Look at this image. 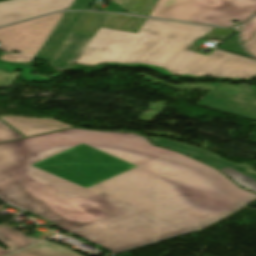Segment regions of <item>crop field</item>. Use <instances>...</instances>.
<instances>
[{
	"label": "crop field",
	"mask_w": 256,
	"mask_h": 256,
	"mask_svg": "<svg viewBox=\"0 0 256 256\" xmlns=\"http://www.w3.org/2000/svg\"><path fill=\"white\" fill-rule=\"evenodd\" d=\"M256 88V87H255Z\"/></svg>",
	"instance_id": "crop-field-26"
},
{
	"label": "crop field",
	"mask_w": 256,
	"mask_h": 256,
	"mask_svg": "<svg viewBox=\"0 0 256 256\" xmlns=\"http://www.w3.org/2000/svg\"><path fill=\"white\" fill-rule=\"evenodd\" d=\"M198 105L256 120L253 89L218 84Z\"/></svg>",
	"instance_id": "crop-field-5"
},
{
	"label": "crop field",
	"mask_w": 256,
	"mask_h": 256,
	"mask_svg": "<svg viewBox=\"0 0 256 256\" xmlns=\"http://www.w3.org/2000/svg\"><path fill=\"white\" fill-rule=\"evenodd\" d=\"M0 68L4 69V70H9V71H13V70H20V69H16V68H12V67H2L0 66ZM23 73L20 74L22 76L23 79H25L26 81H48L49 79H36V78H31V77H25L26 76V72L24 70H22Z\"/></svg>",
	"instance_id": "crop-field-22"
},
{
	"label": "crop field",
	"mask_w": 256,
	"mask_h": 256,
	"mask_svg": "<svg viewBox=\"0 0 256 256\" xmlns=\"http://www.w3.org/2000/svg\"><path fill=\"white\" fill-rule=\"evenodd\" d=\"M19 74L18 72L8 73L0 69V88L11 87Z\"/></svg>",
	"instance_id": "crop-field-18"
},
{
	"label": "crop field",
	"mask_w": 256,
	"mask_h": 256,
	"mask_svg": "<svg viewBox=\"0 0 256 256\" xmlns=\"http://www.w3.org/2000/svg\"><path fill=\"white\" fill-rule=\"evenodd\" d=\"M212 27L147 19L138 34L100 27L76 63H141L174 75L233 79L256 75V61L215 50L208 56L187 50Z\"/></svg>",
	"instance_id": "crop-field-2"
},
{
	"label": "crop field",
	"mask_w": 256,
	"mask_h": 256,
	"mask_svg": "<svg viewBox=\"0 0 256 256\" xmlns=\"http://www.w3.org/2000/svg\"><path fill=\"white\" fill-rule=\"evenodd\" d=\"M41 240L42 239L30 237L19 230L0 224V242L10 248L9 250H4L0 247V256H4Z\"/></svg>",
	"instance_id": "crop-field-12"
},
{
	"label": "crop field",
	"mask_w": 256,
	"mask_h": 256,
	"mask_svg": "<svg viewBox=\"0 0 256 256\" xmlns=\"http://www.w3.org/2000/svg\"><path fill=\"white\" fill-rule=\"evenodd\" d=\"M145 18L86 12L75 33L94 36L100 26L138 33Z\"/></svg>",
	"instance_id": "crop-field-7"
},
{
	"label": "crop field",
	"mask_w": 256,
	"mask_h": 256,
	"mask_svg": "<svg viewBox=\"0 0 256 256\" xmlns=\"http://www.w3.org/2000/svg\"><path fill=\"white\" fill-rule=\"evenodd\" d=\"M248 51L256 56V35L244 44Z\"/></svg>",
	"instance_id": "crop-field-21"
},
{
	"label": "crop field",
	"mask_w": 256,
	"mask_h": 256,
	"mask_svg": "<svg viewBox=\"0 0 256 256\" xmlns=\"http://www.w3.org/2000/svg\"><path fill=\"white\" fill-rule=\"evenodd\" d=\"M93 0H74L68 10H88Z\"/></svg>",
	"instance_id": "crop-field-20"
},
{
	"label": "crop field",
	"mask_w": 256,
	"mask_h": 256,
	"mask_svg": "<svg viewBox=\"0 0 256 256\" xmlns=\"http://www.w3.org/2000/svg\"><path fill=\"white\" fill-rule=\"evenodd\" d=\"M224 173H226L229 177H231L234 181H236L241 186L256 192V179L245 175L229 166L220 168Z\"/></svg>",
	"instance_id": "crop-field-15"
},
{
	"label": "crop field",
	"mask_w": 256,
	"mask_h": 256,
	"mask_svg": "<svg viewBox=\"0 0 256 256\" xmlns=\"http://www.w3.org/2000/svg\"><path fill=\"white\" fill-rule=\"evenodd\" d=\"M64 13H59L0 30V50L12 52L0 55V60L29 62L33 60Z\"/></svg>",
	"instance_id": "crop-field-4"
},
{
	"label": "crop field",
	"mask_w": 256,
	"mask_h": 256,
	"mask_svg": "<svg viewBox=\"0 0 256 256\" xmlns=\"http://www.w3.org/2000/svg\"><path fill=\"white\" fill-rule=\"evenodd\" d=\"M0 197L113 253L205 227L256 200L144 136L78 129L0 143Z\"/></svg>",
	"instance_id": "crop-field-1"
},
{
	"label": "crop field",
	"mask_w": 256,
	"mask_h": 256,
	"mask_svg": "<svg viewBox=\"0 0 256 256\" xmlns=\"http://www.w3.org/2000/svg\"><path fill=\"white\" fill-rule=\"evenodd\" d=\"M119 4L129 13L149 16L158 0H109Z\"/></svg>",
	"instance_id": "crop-field-14"
},
{
	"label": "crop field",
	"mask_w": 256,
	"mask_h": 256,
	"mask_svg": "<svg viewBox=\"0 0 256 256\" xmlns=\"http://www.w3.org/2000/svg\"><path fill=\"white\" fill-rule=\"evenodd\" d=\"M11 256H82L81 254L54 243L45 241Z\"/></svg>",
	"instance_id": "crop-field-13"
},
{
	"label": "crop field",
	"mask_w": 256,
	"mask_h": 256,
	"mask_svg": "<svg viewBox=\"0 0 256 256\" xmlns=\"http://www.w3.org/2000/svg\"><path fill=\"white\" fill-rule=\"evenodd\" d=\"M239 86L252 88V87H250L248 85H245V84H242V85H239Z\"/></svg>",
	"instance_id": "crop-field-24"
},
{
	"label": "crop field",
	"mask_w": 256,
	"mask_h": 256,
	"mask_svg": "<svg viewBox=\"0 0 256 256\" xmlns=\"http://www.w3.org/2000/svg\"><path fill=\"white\" fill-rule=\"evenodd\" d=\"M85 12H66L53 33L43 45L36 58L53 62L71 33L81 22Z\"/></svg>",
	"instance_id": "crop-field-8"
},
{
	"label": "crop field",
	"mask_w": 256,
	"mask_h": 256,
	"mask_svg": "<svg viewBox=\"0 0 256 256\" xmlns=\"http://www.w3.org/2000/svg\"><path fill=\"white\" fill-rule=\"evenodd\" d=\"M0 118L25 136L69 128L68 125L58 121H54V120L16 117V116H8V117H0Z\"/></svg>",
	"instance_id": "crop-field-10"
},
{
	"label": "crop field",
	"mask_w": 256,
	"mask_h": 256,
	"mask_svg": "<svg viewBox=\"0 0 256 256\" xmlns=\"http://www.w3.org/2000/svg\"><path fill=\"white\" fill-rule=\"evenodd\" d=\"M91 39V36L72 33L68 42L61 50L57 58L54 60L52 65L56 68L66 64L74 65V63L84 51Z\"/></svg>",
	"instance_id": "crop-field-11"
},
{
	"label": "crop field",
	"mask_w": 256,
	"mask_h": 256,
	"mask_svg": "<svg viewBox=\"0 0 256 256\" xmlns=\"http://www.w3.org/2000/svg\"><path fill=\"white\" fill-rule=\"evenodd\" d=\"M256 13V0H159L150 16L190 22L234 26Z\"/></svg>",
	"instance_id": "crop-field-3"
},
{
	"label": "crop field",
	"mask_w": 256,
	"mask_h": 256,
	"mask_svg": "<svg viewBox=\"0 0 256 256\" xmlns=\"http://www.w3.org/2000/svg\"><path fill=\"white\" fill-rule=\"evenodd\" d=\"M242 42L243 44L249 40L254 34H256V17L253 18L249 23L242 27Z\"/></svg>",
	"instance_id": "crop-field-19"
},
{
	"label": "crop field",
	"mask_w": 256,
	"mask_h": 256,
	"mask_svg": "<svg viewBox=\"0 0 256 256\" xmlns=\"http://www.w3.org/2000/svg\"><path fill=\"white\" fill-rule=\"evenodd\" d=\"M17 138H22V136L0 121V142Z\"/></svg>",
	"instance_id": "crop-field-17"
},
{
	"label": "crop field",
	"mask_w": 256,
	"mask_h": 256,
	"mask_svg": "<svg viewBox=\"0 0 256 256\" xmlns=\"http://www.w3.org/2000/svg\"><path fill=\"white\" fill-rule=\"evenodd\" d=\"M237 34L238 32L233 34L229 39H227L223 44H221L219 48L251 57L250 55L246 54L244 50L239 46L237 41Z\"/></svg>",
	"instance_id": "crop-field-16"
},
{
	"label": "crop field",
	"mask_w": 256,
	"mask_h": 256,
	"mask_svg": "<svg viewBox=\"0 0 256 256\" xmlns=\"http://www.w3.org/2000/svg\"><path fill=\"white\" fill-rule=\"evenodd\" d=\"M155 144L158 145H162L168 148H172L175 149L179 152L191 155L195 158H198L214 167L220 168L226 165H229L245 174H248L254 178H256V171H254L250 165L248 164H234L231 163L221 157H219L218 155L204 150V149H200L194 146H190L187 144H183L180 142H176V141H172V140H168V139H164V138H158V137H152L150 138Z\"/></svg>",
	"instance_id": "crop-field-9"
},
{
	"label": "crop field",
	"mask_w": 256,
	"mask_h": 256,
	"mask_svg": "<svg viewBox=\"0 0 256 256\" xmlns=\"http://www.w3.org/2000/svg\"><path fill=\"white\" fill-rule=\"evenodd\" d=\"M253 89H254V91H255V93H256V90H255V88L253 87Z\"/></svg>",
	"instance_id": "crop-field-25"
},
{
	"label": "crop field",
	"mask_w": 256,
	"mask_h": 256,
	"mask_svg": "<svg viewBox=\"0 0 256 256\" xmlns=\"http://www.w3.org/2000/svg\"><path fill=\"white\" fill-rule=\"evenodd\" d=\"M96 9H100L103 11H110V12H119V13H127L126 11L122 10L121 7H119L116 4H113L110 2L107 8L98 7Z\"/></svg>",
	"instance_id": "crop-field-23"
},
{
	"label": "crop field",
	"mask_w": 256,
	"mask_h": 256,
	"mask_svg": "<svg viewBox=\"0 0 256 256\" xmlns=\"http://www.w3.org/2000/svg\"><path fill=\"white\" fill-rule=\"evenodd\" d=\"M73 0H11L0 3V26L69 8Z\"/></svg>",
	"instance_id": "crop-field-6"
}]
</instances>
